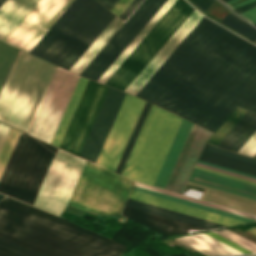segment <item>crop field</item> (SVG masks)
Wrapping results in <instances>:
<instances>
[{
  "mask_svg": "<svg viewBox=\"0 0 256 256\" xmlns=\"http://www.w3.org/2000/svg\"><path fill=\"white\" fill-rule=\"evenodd\" d=\"M136 96L215 133L237 105L256 111V46L203 17Z\"/></svg>",
  "mask_w": 256,
  "mask_h": 256,
  "instance_id": "1",
  "label": "crop field"
},
{
  "mask_svg": "<svg viewBox=\"0 0 256 256\" xmlns=\"http://www.w3.org/2000/svg\"><path fill=\"white\" fill-rule=\"evenodd\" d=\"M0 237L47 256H118L126 247L7 197L0 202Z\"/></svg>",
  "mask_w": 256,
  "mask_h": 256,
  "instance_id": "2",
  "label": "crop field"
},
{
  "mask_svg": "<svg viewBox=\"0 0 256 256\" xmlns=\"http://www.w3.org/2000/svg\"><path fill=\"white\" fill-rule=\"evenodd\" d=\"M56 68L20 50L0 93V121L27 133Z\"/></svg>",
  "mask_w": 256,
  "mask_h": 256,
  "instance_id": "3",
  "label": "crop field"
},
{
  "mask_svg": "<svg viewBox=\"0 0 256 256\" xmlns=\"http://www.w3.org/2000/svg\"><path fill=\"white\" fill-rule=\"evenodd\" d=\"M57 150L21 133L0 178V193L32 205Z\"/></svg>",
  "mask_w": 256,
  "mask_h": 256,
  "instance_id": "4",
  "label": "crop field"
},
{
  "mask_svg": "<svg viewBox=\"0 0 256 256\" xmlns=\"http://www.w3.org/2000/svg\"><path fill=\"white\" fill-rule=\"evenodd\" d=\"M181 120L153 105L121 175L152 186Z\"/></svg>",
  "mask_w": 256,
  "mask_h": 256,
  "instance_id": "5",
  "label": "crop field"
},
{
  "mask_svg": "<svg viewBox=\"0 0 256 256\" xmlns=\"http://www.w3.org/2000/svg\"><path fill=\"white\" fill-rule=\"evenodd\" d=\"M39 0H6L0 7V40L4 41ZM73 0H40L5 42L27 52Z\"/></svg>",
  "mask_w": 256,
  "mask_h": 256,
  "instance_id": "6",
  "label": "crop field"
},
{
  "mask_svg": "<svg viewBox=\"0 0 256 256\" xmlns=\"http://www.w3.org/2000/svg\"><path fill=\"white\" fill-rule=\"evenodd\" d=\"M132 184L87 161L68 204L100 214H119Z\"/></svg>",
  "mask_w": 256,
  "mask_h": 256,
  "instance_id": "7",
  "label": "crop field"
},
{
  "mask_svg": "<svg viewBox=\"0 0 256 256\" xmlns=\"http://www.w3.org/2000/svg\"><path fill=\"white\" fill-rule=\"evenodd\" d=\"M193 10L177 0L105 84L124 91Z\"/></svg>",
  "mask_w": 256,
  "mask_h": 256,
  "instance_id": "8",
  "label": "crop field"
},
{
  "mask_svg": "<svg viewBox=\"0 0 256 256\" xmlns=\"http://www.w3.org/2000/svg\"><path fill=\"white\" fill-rule=\"evenodd\" d=\"M85 162L59 149L33 205L60 215L70 199Z\"/></svg>",
  "mask_w": 256,
  "mask_h": 256,
  "instance_id": "9",
  "label": "crop field"
},
{
  "mask_svg": "<svg viewBox=\"0 0 256 256\" xmlns=\"http://www.w3.org/2000/svg\"><path fill=\"white\" fill-rule=\"evenodd\" d=\"M166 0H144L81 76L97 81Z\"/></svg>",
  "mask_w": 256,
  "mask_h": 256,
  "instance_id": "10",
  "label": "crop field"
},
{
  "mask_svg": "<svg viewBox=\"0 0 256 256\" xmlns=\"http://www.w3.org/2000/svg\"><path fill=\"white\" fill-rule=\"evenodd\" d=\"M79 76L57 68L29 134L50 142Z\"/></svg>",
  "mask_w": 256,
  "mask_h": 256,
  "instance_id": "11",
  "label": "crop field"
},
{
  "mask_svg": "<svg viewBox=\"0 0 256 256\" xmlns=\"http://www.w3.org/2000/svg\"><path fill=\"white\" fill-rule=\"evenodd\" d=\"M108 88L89 80L60 148L79 155Z\"/></svg>",
  "mask_w": 256,
  "mask_h": 256,
  "instance_id": "12",
  "label": "crop field"
},
{
  "mask_svg": "<svg viewBox=\"0 0 256 256\" xmlns=\"http://www.w3.org/2000/svg\"><path fill=\"white\" fill-rule=\"evenodd\" d=\"M144 101L127 94L97 160V164L115 171Z\"/></svg>",
  "mask_w": 256,
  "mask_h": 256,
  "instance_id": "13",
  "label": "crop field"
},
{
  "mask_svg": "<svg viewBox=\"0 0 256 256\" xmlns=\"http://www.w3.org/2000/svg\"><path fill=\"white\" fill-rule=\"evenodd\" d=\"M106 10L95 0H88L41 58L59 66Z\"/></svg>",
  "mask_w": 256,
  "mask_h": 256,
  "instance_id": "14",
  "label": "crop field"
},
{
  "mask_svg": "<svg viewBox=\"0 0 256 256\" xmlns=\"http://www.w3.org/2000/svg\"><path fill=\"white\" fill-rule=\"evenodd\" d=\"M125 95L123 92L109 88L80 157L96 162Z\"/></svg>",
  "mask_w": 256,
  "mask_h": 256,
  "instance_id": "15",
  "label": "crop field"
},
{
  "mask_svg": "<svg viewBox=\"0 0 256 256\" xmlns=\"http://www.w3.org/2000/svg\"><path fill=\"white\" fill-rule=\"evenodd\" d=\"M202 17V15L194 10L192 14L185 20V22L179 27V29L166 42V44L160 49V51L147 64V66L134 79V81L127 87L125 92L135 95Z\"/></svg>",
  "mask_w": 256,
  "mask_h": 256,
  "instance_id": "16",
  "label": "crop field"
},
{
  "mask_svg": "<svg viewBox=\"0 0 256 256\" xmlns=\"http://www.w3.org/2000/svg\"><path fill=\"white\" fill-rule=\"evenodd\" d=\"M256 176V159L205 144L198 158Z\"/></svg>",
  "mask_w": 256,
  "mask_h": 256,
  "instance_id": "17",
  "label": "crop field"
},
{
  "mask_svg": "<svg viewBox=\"0 0 256 256\" xmlns=\"http://www.w3.org/2000/svg\"><path fill=\"white\" fill-rule=\"evenodd\" d=\"M122 216L131 218L137 222H140L150 227L156 232L163 233L165 235L184 234V233H187L186 231L188 229L205 230L199 227L188 225L182 222H178L175 220H171L168 218H164L161 216H157L154 214H150V213L133 209L130 207H126V206L124 208Z\"/></svg>",
  "mask_w": 256,
  "mask_h": 256,
  "instance_id": "18",
  "label": "crop field"
},
{
  "mask_svg": "<svg viewBox=\"0 0 256 256\" xmlns=\"http://www.w3.org/2000/svg\"><path fill=\"white\" fill-rule=\"evenodd\" d=\"M129 198L133 199V200L140 201V202H144V203H147V204L162 207V208H165V209L180 212V213H183V214L198 217V218H201V219L216 222V223H219V224L227 225V226L245 224V223L240 222V221H236V220H233V219H230V218H226V217H223V216H219V215H216V214L205 212V211H202V210H199V209H195V208H192V207L181 205V204H178V203H175V202H171V201H168V200H164V199H161V198H157V197L150 196V195L140 193V192H137V191H133V190L131 191V194H130Z\"/></svg>",
  "mask_w": 256,
  "mask_h": 256,
  "instance_id": "19",
  "label": "crop field"
},
{
  "mask_svg": "<svg viewBox=\"0 0 256 256\" xmlns=\"http://www.w3.org/2000/svg\"><path fill=\"white\" fill-rule=\"evenodd\" d=\"M255 130L256 113L247 110L218 147L237 152Z\"/></svg>",
  "mask_w": 256,
  "mask_h": 256,
  "instance_id": "20",
  "label": "crop field"
},
{
  "mask_svg": "<svg viewBox=\"0 0 256 256\" xmlns=\"http://www.w3.org/2000/svg\"><path fill=\"white\" fill-rule=\"evenodd\" d=\"M192 125V123L184 119L182 120L179 129L175 135V138L172 142V145L168 151V154L164 160V163L160 169V172L157 176V179L154 183L155 186L164 188Z\"/></svg>",
  "mask_w": 256,
  "mask_h": 256,
  "instance_id": "21",
  "label": "crop field"
},
{
  "mask_svg": "<svg viewBox=\"0 0 256 256\" xmlns=\"http://www.w3.org/2000/svg\"><path fill=\"white\" fill-rule=\"evenodd\" d=\"M190 178L198 180V181H202V182H205V183H209V184H212V185L220 186V187H223V188H227V189H230V190H234V191H237V192H241V193H244V194H248V195H250L251 193L256 194V186H254V187L248 186V185H245V184H242V183H238V182H235V181H232V180H228V179L218 177L216 175L206 173V172H202V171L195 170V169L193 170L192 175H191ZM191 179H190V181H194V182L201 183V184H204V185H208V186H211V187H214V188H218V189H221V190H225V191H228V192H232V193H235V194L246 196V197H249V198H252V199H256V195H253V194L248 196V195H244V194L237 193V192H234V191H230V190H227V189L219 188V187H216V186H212V185L205 184V183L198 182V181L191 180Z\"/></svg>",
  "mask_w": 256,
  "mask_h": 256,
  "instance_id": "22",
  "label": "crop field"
},
{
  "mask_svg": "<svg viewBox=\"0 0 256 256\" xmlns=\"http://www.w3.org/2000/svg\"><path fill=\"white\" fill-rule=\"evenodd\" d=\"M175 1L176 0H167L165 2V4L159 9V11L152 17V19L146 24V26L139 32V34L133 39V41L126 47V49L113 62V64L107 69V71L100 77L98 82L102 84L106 82V80L119 67V65L125 60V58L131 53V51L138 45V43L144 38V36L150 31V29L157 23V21L163 16V14Z\"/></svg>",
  "mask_w": 256,
  "mask_h": 256,
  "instance_id": "23",
  "label": "crop field"
},
{
  "mask_svg": "<svg viewBox=\"0 0 256 256\" xmlns=\"http://www.w3.org/2000/svg\"><path fill=\"white\" fill-rule=\"evenodd\" d=\"M113 15L108 10L99 19V21L93 26V28L87 33V35L80 41V43L74 48V50L68 55V57L62 62L60 67L70 69L71 66L77 61V59L83 54V52L89 47L94 39L100 34V32L106 27V25L112 20Z\"/></svg>",
  "mask_w": 256,
  "mask_h": 256,
  "instance_id": "24",
  "label": "crop field"
},
{
  "mask_svg": "<svg viewBox=\"0 0 256 256\" xmlns=\"http://www.w3.org/2000/svg\"><path fill=\"white\" fill-rule=\"evenodd\" d=\"M86 1L87 0H75L58 19V21L51 27V29L33 47L30 53L39 57Z\"/></svg>",
  "mask_w": 256,
  "mask_h": 256,
  "instance_id": "25",
  "label": "crop field"
},
{
  "mask_svg": "<svg viewBox=\"0 0 256 256\" xmlns=\"http://www.w3.org/2000/svg\"><path fill=\"white\" fill-rule=\"evenodd\" d=\"M123 21H121L116 16L109 23V25L104 29L101 35L96 39V41L88 48V50L81 56V58L73 65L70 71L79 74L83 68L93 59V57L99 52L111 34L117 30Z\"/></svg>",
  "mask_w": 256,
  "mask_h": 256,
  "instance_id": "26",
  "label": "crop field"
},
{
  "mask_svg": "<svg viewBox=\"0 0 256 256\" xmlns=\"http://www.w3.org/2000/svg\"><path fill=\"white\" fill-rule=\"evenodd\" d=\"M87 81H88L87 79H84L81 77L79 78V80L76 84V87L71 95V98L67 104V107L63 113V116L59 122V125L54 133V136H53L51 142H50L51 144H53L57 147L59 146Z\"/></svg>",
  "mask_w": 256,
  "mask_h": 256,
  "instance_id": "27",
  "label": "crop field"
},
{
  "mask_svg": "<svg viewBox=\"0 0 256 256\" xmlns=\"http://www.w3.org/2000/svg\"><path fill=\"white\" fill-rule=\"evenodd\" d=\"M129 199L127 200V202L125 204L126 206H130V207H133V208H137V209H140V210H144V211H147V212H151V213H154V214H158V215H161V216H165V217H168V218H172V219H175V220H179V221H182V222H186V223L193 224V225L200 226V227L207 228V229H213V228H217V227H225V226H221V225L214 224V223H211V222H207V221H204V220L196 219V218H193V217H189V216H186V215H182V214H179V213H175V212H172V211H168V210L161 209V208H158V207L150 206V205L143 204V203L136 202V201L129 200Z\"/></svg>",
  "mask_w": 256,
  "mask_h": 256,
  "instance_id": "28",
  "label": "crop field"
},
{
  "mask_svg": "<svg viewBox=\"0 0 256 256\" xmlns=\"http://www.w3.org/2000/svg\"><path fill=\"white\" fill-rule=\"evenodd\" d=\"M18 51V49L0 42V91Z\"/></svg>",
  "mask_w": 256,
  "mask_h": 256,
  "instance_id": "29",
  "label": "crop field"
},
{
  "mask_svg": "<svg viewBox=\"0 0 256 256\" xmlns=\"http://www.w3.org/2000/svg\"><path fill=\"white\" fill-rule=\"evenodd\" d=\"M133 190L144 192V193H147V194H150V195H154V196H157V197H161V198H164V199L175 201V202H178V203H181V204H185V205H188V206L199 208V209L209 211V212H212V213H216V214H219V215H223V216H226V217H230V218L240 220V221H243V222L250 223L252 221H255V220H251V219L244 218V217H241V216H237V215H234V214H230V213H227V212H223V211H220V210H216V209H213V208H209V207H206V206H202V205H199V204L191 203V202H188V201H184V200H181V199H177V198H174V197H170V196H167V195H163V194H160V193H156V192H153V191L142 189V188H139V187L134 186Z\"/></svg>",
  "mask_w": 256,
  "mask_h": 256,
  "instance_id": "30",
  "label": "crop field"
},
{
  "mask_svg": "<svg viewBox=\"0 0 256 256\" xmlns=\"http://www.w3.org/2000/svg\"><path fill=\"white\" fill-rule=\"evenodd\" d=\"M151 106H152L151 104H149L147 102L145 103V105L143 107V110H142V112H141V114L139 116V119H138V121L136 123V126H135V128H134V130L132 132V135H131V137L129 139V142H128L126 148H125V151H124V153L122 155V158H121V160H120V162L118 164V167H117L115 172H117L119 174L121 173V171H122V169H123V167L125 165V162H126L128 156H129L130 152H131V149H132V147H133V145H134V143L136 141V138H137V136H138V134H139V132L141 130V127H142V125H143V123H144V121H145V119L147 117V114H148Z\"/></svg>",
  "mask_w": 256,
  "mask_h": 256,
  "instance_id": "31",
  "label": "crop field"
},
{
  "mask_svg": "<svg viewBox=\"0 0 256 256\" xmlns=\"http://www.w3.org/2000/svg\"><path fill=\"white\" fill-rule=\"evenodd\" d=\"M220 22L233 28L234 30L245 35L246 37L254 41L256 40V29H254L252 26L244 22L236 15L229 12Z\"/></svg>",
  "mask_w": 256,
  "mask_h": 256,
  "instance_id": "32",
  "label": "crop field"
},
{
  "mask_svg": "<svg viewBox=\"0 0 256 256\" xmlns=\"http://www.w3.org/2000/svg\"><path fill=\"white\" fill-rule=\"evenodd\" d=\"M245 111L246 109L237 107L235 111L229 116V118L224 122V124L218 129V131H215L216 133L207 141V143L217 146Z\"/></svg>",
  "mask_w": 256,
  "mask_h": 256,
  "instance_id": "33",
  "label": "crop field"
},
{
  "mask_svg": "<svg viewBox=\"0 0 256 256\" xmlns=\"http://www.w3.org/2000/svg\"><path fill=\"white\" fill-rule=\"evenodd\" d=\"M0 256H45L0 238Z\"/></svg>",
  "mask_w": 256,
  "mask_h": 256,
  "instance_id": "34",
  "label": "crop field"
},
{
  "mask_svg": "<svg viewBox=\"0 0 256 256\" xmlns=\"http://www.w3.org/2000/svg\"><path fill=\"white\" fill-rule=\"evenodd\" d=\"M20 133V131L11 128L6 137V140L0 150V176L5 168V165L10 157V154L16 144Z\"/></svg>",
  "mask_w": 256,
  "mask_h": 256,
  "instance_id": "35",
  "label": "crop field"
},
{
  "mask_svg": "<svg viewBox=\"0 0 256 256\" xmlns=\"http://www.w3.org/2000/svg\"><path fill=\"white\" fill-rule=\"evenodd\" d=\"M198 128H199L198 126L193 125V127H192V129L190 131V134H189V136H188V138L186 140V143H185V145H184V147L182 149V152H181V154H180V156H179V158L177 160V163H176V165H175V167L173 169V172H172V174H171V176L169 178V181H168V183H167V185L165 187V190H169V191L171 190V188H172V186L174 184V181H175V179H176V177L178 175V172H179V170H180V168L182 166V163H183V161H184V159H185V157L187 155V152H188V150H189V148L191 146V143H192V141H193V139L195 137V134H196Z\"/></svg>",
  "mask_w": 256,
  "mask_h": 256,
  "instance_id": "36",
  "label": "crop field"
},
{
  "mask_svg": "<svg viewBox=\"0 0 256 256\" xmlns=\"http://www.w3.org/2000/svg\"><path fill=\"white\" fill-rule=\"evenodd\" d=\"M176 240L208 255V256H214V255H228L227 253L221 251V250H218L192 236H186V237H180V238H175ZM175 240V241H176ZM177 241V242H178Z\"/></svg>",
  "mask_w": 256,
  "mask_h": 256,
  "instance_id": "37",
  "label": "crop field"
},
{
  "mask_svg": "<svg viewBox=\"0 0 256 256\" xmlns=\"http://www.w3.org/2000/svg\"><path fill=\"white\" fill-rule=\"evenodd\" d=\"M134 185H135V186H139V187H142V188H146V189H149V190H153V191H156V192H160V193H163V194H167V195H170V196H174V197H177V198H181V199L188 200V201H191V202L199 203V204H202V205H206V206H209V207H213V208H216V209H220V210H223V211H227V212H230V213H234V214H237V215H241V216L248 217V218H251V219H255V220H256V217L251 216V215H247V214H244V213H240V212H237V211H233V210H230V209H226V208H223V207H219V206H216V205H212V204H209V203H205V202H202V201L194 200V199H191V198H187V197H184V196H180V195H177V194H173V193H170V192H166V191H163V190H159V189H156V188H152V187H149V186H145V185H142V184L135 183Z\"/></svg>",
  "mask_w": 256,
  "mask_h": 256,
  "instance_id": "38",
  "label": "crop field"
},
{
  "mask_svg": "<svg viewBox=\"0 0 256 256\" xmlns=\"http://www.w3.org/2000/svg\"><path fill=\"white\" fill-rule=\"evenodd\" d=\"M215 233L234 241L238 245L244 247L245 249H247L253 253H256V244H254V243H252V242H250V241H248V240H246L228 230L215 231Z\"/></svg>",
  "mask_w": 256,
  "mask_h": 256,
  "instance_id": "39",
  "label": "crop field"
},
{
  "mask_svg": "<svg viewBox=\"0 0 256 256\" xmlns=\"http://www.w3.org/2000/svg\"><path fill=\"white\" fill-rule=\"evenodd\" d=\"M238 153L246 154L253 157L256 153V132L249 140L241 147Z\"/></svg>",
  "mask_w": 256,
  "mask_h": 256,
  "instance_id": "40",
  "label": "crop field"
},
{
  "mask_svg": "<svg viewBox=\"0 0 256 256\" xmlns=\"http://www.w3.org/2000/svg\"><path fill=\"white\" fill-rule=\"evenodd\" d=\"M196 236H198V237H200V238H202V239H204V240H206L210 243H213V244H215V245H217V246H219V247H221V248H223V249H225V250H227L231 253L243 254V253H241V252H239V251H237V250H235V249H233V248H231V247H229V246H227V245H225V244H223V243H221V242H219V241H217V240H215V239H213V238H211V237H209V236H207L203 233L202 234H197Z\"/></svg>",
  "mask_w": 256,
  "mask_h": 256,
  "instance_id": "41",
  "label": "crop field"
},
{
  "mask_svg": "<svg viewBox=\"0 0 256 256\" xmlns=\"http://www.w3.org/2000/svg\"><path fill=\"white\" fill-rule=\"evenodd\" d=\"M141 1L142 0H133L119 17L125 20Z\"/></svg>",
  "mask_w": 256,
  "mask_h": 256,
  "instance_id": "42",
  "label": "crop field"
},
{
  "mask_svg": "<svg viewBox=\"0 0 256 256\" xmlns=\"http://www.w3.org/2000/svg\"><path fill=\"white\" fill-rule=\"evenodd\" d=\"M131 1L132 0H120L111 11L119 16Z\"/></svg>",
  "mask_w": 256,
  "mask_h": 256,
  "instance_id": "43",
  "label": "crop field"
},
{
  "mask_svg": "<svg viewBox=\"0 0 256 256\" xmlns=\"http://www.w3.org/2000/svg\"><path fill=\"white\" fill-rule=\"evenodd\" d=\"M214 0H197L194 4L197 5L204 12L212 4Z\"/></svg>",
  "mask_w": 256,
  "mask_h": 256,
  "instance_id": "44",
  "label": "crop field"
},
{
  "mask_svg": "<svg viewBox=\"0 0 256 256\" xmlns=\"http://www.w3.org/2000/svg\"><path fill=\"white\" fill-rule=\"evenodd\" d=\"M196 165L204 167V168H208V169H211V170H215V171H218V172H222V173H225V174L233 175V176H236V177H240V178H243V179H247V180L256 182V180H254V179L247 178V177H244V176H240V175H237V174H233V173H230V172H226V171H223V170H219V169H216V168H212V167H209V166H205V165H202V164H198L197 163Z\"/></svg>",
  "mask_w": 256,
  "mask_h": 256,
  "instance_id": "45",
  "label": "crop field"
},
{
  "mask_svg": "<svg viewBox=\"0 0 256 256\" xmlns=\"http://www.w3.org/2000/svg\"><path fill=\"white\" fill-rule=\"evenodd\" d=\"M9 129H10L9 127L0 123V148L5 140V137L9 131Z\"/></svg>",
  "mask_w": 256,
  "mask_h": 256,
  "instance_id": "46",
  "label": "crop field"
},
{
  "mask_svg": "<svg viewBox=\"0 0 256 256\" xmlns=\"http://www.w3.org/2000/svg\"><path fill=\"white\" fill-rule=\"evenodd\" d=\"M245 17H247L250 21H252L254 24L256 23V8L251 9L249 11L241 13Z\"/></svg>",
  "mask_w": 256,
  "mask_h": 256,
  "instance_id": "47",
  "label": "crop field"
},
{
  "mask_svg": "<svg viewBox=\"0 0 256 256\" xmlns=\"http://www.w3.org/2000/svg\"><path fill=\"white\" fill-rule=\"evenodd\" d=\"M197 162L256 179V177H254V176H251V175H248V174H244V173H241V172H237V171H234V170H230V169H227V168H223V167H220V166H216V165H213V164H210V163H206V162L199 161V160Z\"/></svg>",
  "mask_w": 256,
  "mask_h": 256,
  "instance_id": "48",
  "label": "crop field"
},
{
  "mask_svg": "<svg viewBox=\"0 0 256 256\" xmlns=\"http://www.w3.org/2000/svg\"><path fill=\"white\" fill-rule=\"evenodd\" d=\"M254 7H256V1L251 2V3H249V4H246V5H244V6H241V7H239V8H236V9H234V10L237 11L238 13H240V12L249 10V9H251V8H254Z\"/></svg>",
  "mask_w": 256,
  "mask_h": 256,
  "instance_id": "49",
  "label": "crop field"
},
{
  "mask_svg": "<svg viewBox=\"0 0 256 256\" xmlns=\"http://www.w3.org/2000/svg\"><path fill=\"white\" fill-rule=\"evenodd\" d=\"M250 1H253V0H232V1H229L227 2L230 6H232L233 8L237 7V6H240V5H243L245 3H248Z\"/></svg>",
  "mask_w": 256,
  "mask_h": 256,
  "instance_id": "50",
  "label": "crop field"
},
{
  "mask_svg": "<svg viewBox=\"0 0 256 256\" xmlns=\"http://www.w3.org/2000/svg\"><path fill=\"white\" fill-rule=\"evenodd\" d=\"M102 4H104L110 10L119 0H99Z\"/></svg>",
  "mask_w": 256,
  "mask_h": 256,
  "instance_id": "51",
  "label": "crop field"
},
{
  "mask_svg": "<svg viewBox=\"0 0 256 256\" xmlns=\"http://www.w3.org/2000/svg\"><path fill=\"white\" fill-rule=\"evenodd\" d=\"M196 168H200V169H203V170H207V171H210V172H214V173H217V174H221V175H224V176H228V177H231V178H235V179H238V180H242V181H245V182H249V183H252V184H256V183H254V182H250V181L243 180V179H240V178H236V177H233V176L225 175V174L218 173V172H215V171H211V170H208V169H204V168H201V167H197V166H196Z\"/></svg>",
  "mask_w": 256,
  "mask_h": 256,
  "instance_id": "52",
  "label": "crop field"
},
{
  "mask_svg": "<svg viewBox=\"0 0 256 256\" xmlns=\"http://www.w3.org/2000/svg\"><path fill=\"white\" fill-rule=\"evenodd\" d=\"M247 231H249V232H251V233L256 235V228L255 227H251Z\"/></svg>",
  "mask_w": 256,
  "mask_h": 256,
  "instance_id": "53",
  "label": "crop field"
},
{
  "mask_svg": "<svg viewBox=\"0 0 256 256\" xmlns=\"http://www.w3.org/2000/svg\"><path fill=\"white\" fill-rule=\"evenodd\" d=\"M4 1H5V0H0V6L3 4Z\"/></svg>",
  "mask_w": 256,
  "mask_h": 256,
  "instance_id": "54",
  "label": "crop field"
},
{
  "mask_svg": "<svg viewBox=\"0 0 256 256\" xmlns=\"http://www.w3.org/2000/svg\"><path fill=\"white\" fill-rule=\"evenodd\" d=\"M2 197H4V196L0 194V199H1ZM2 199H3V198H2Z\"/></svg>",
  "mask_w": 256,
  "mask_h": 256,
  "instance_id": "55",
  "label": "crop field"
},
{
  "mask_svg": "<svg viewBox=\"0 0 256 256\" xmlns=\"http://www.w3.org/2000/svg\"><path fill=\"white\" fill-rule=\"evenodd\" d=\"M193 3L196 1V0H191Z\"/></svg>",
  "mask_w": 256,
  "mask_h": 256,
  "instance_id": "56",
  "label": "crop field"
},
{
  "mask_svg": "<svg viewBox=\"0 0 256 256\" xmlns=\"http://www.w3.org/2000/svg\"><path fill=\"white\" fill-rule=\"evenodd\" d=\"M224 2L228 1V0H223Z\"/></svg>",
  "mask_w": 256,
  "mask_h": 256,
  "instance_id": "57",
  "label": "crop field"
},
{
  "mask_svg": "<svg viewBox=\"0 0 256 256\" xmlns=\"http://www.w3.org/2000/svg\"><path fill=\"white\" fill-rule=\"evenodd\" d=\"M256 26V25H255Z\"/></svg>",
  "mask_w": 256,
  "mask_h": 256,
  "instance_id": "58",
  "label": "crop field"
}]
</instances>
